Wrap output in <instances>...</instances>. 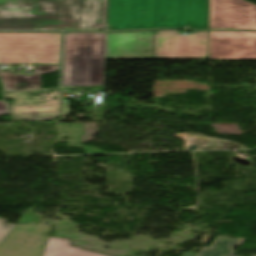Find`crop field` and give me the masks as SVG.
<instances>
[{"label":"crop field","instance_id":"ac0d7876","mask_svg":"<svg viewBox=\"0 0 256 256\" xmlns=\"http://www.w3.org/2000/svg\"><path fill=\"white\" fill-rule=\"evenodd\" d=\"M61 85H104V33H66Z\"/></svg>","mask_w":256,"mask_h":256},{"label":"crop field","instance_id":"e52e79f7","mask_svg":"<svg viewBox=\"0 0 256 256\" xmlns=\"http://www.w3.org/2000/svg\"><path fill=\"white\" fill-rule=\"evenodd\" d=\"M107 28H153L152 0H107Z\"/></svg>","mask_w":256,"mask_h":256},{"label":"crop field","instance_id":"f4fd0767","mask_svg":"<svg viewBox=\"0 0 256 256\" xmlns=\"http://www.w3.org/2000/svg\"><path fill=\"white\" fill-rule=\"evenodd\" d=\"M155 59H209L208 32L155 31Z\"/></svg>","mask_w":256,"mask_h":256},{"label":"crop field","instance_id":"d8731c3e","mask_svg":"<svg viewBox=\"0 0 256 256\" xmlns=\"http://www.w3.org/2000/svg\"><path fill=\"white\" fill-rule=\"evenodd\" d=\"M51 225L16 224L0 244V256H42Z\"/></svg>","mask_w":256,"mask_h":256},{"label":"crop field","instance_id":"5a996713","mask_svg":"<svg viewBox=\"0 0 256 256\" xmlns=\"http://www.w3.org/2000/svg\"><path fill=\"white\" fill-rule=\"evenodd\" d=\"M106 59H154V31L105 33Z\"/></svg>","mask_w":256,"mask_h":256},{"label":"crop field","instance_id":"d1516ede","mask_svg":"<svg viewBox=\"0 0 256 256\" xmlns=\"http://www.w3.org/2000/svg\"><path fill=\"white\" fill-rule=\"evenodd\" d=\"M32 76L19 75L17 71L1 74L2 81L7 91L42 88L40 75L51 73L59 69V66L34 65Z\"/></svg>","mask_w":256,"mask_h":256},{"label":"crop field","instance_id":"d9b57169","mask_svg":"<svg viewBox=\"0 0 256 256\" xmlns=\"http://www.w3.org/2000/svg\"><path fill=\"white\" fill-rule=\"evenodd\" d=\"M9 114V111L6 107V105H4V100L0 101V115H6Z\"/></svg>","mask_w":256,"mask_h":256},{"label":"crop field","instance_id":"5142ce71","mask_svg":"<svg viewBox=\"0 0 256 256\" xmlns=\"http://www.w3.org/2000/svg\"><path fill=\"white\" fill-rule=\"evenodd\" d=\"M6 222L7 220L0 219V243L14 227V225H8Z\"/></svg>","mask_w":256,"mask_h":256},{"label":"crop field","instance_id":"8a807250","mask_svg":"<svg viewBox=\"0 0 256 256\" xmlns=\"http://www.w3.org/2000/svg\"><path fill=\"white\" fill-rule=\"evenodd\" d=\"M106 0H0V30H100Z\"/></svg>","mask_w":256,"mask_h":256},{"label":"crop field","instance_id":"412701ff","mask_svg":"<svg viewBox=\"0 0 256 256\" xmlns=\"http://www.w3.org/2000/svg\"><path fill=\"white\" fill-rule=\"evenodd\" d=\"M153 7L154 28L209 29L208 0H153Z\"/></svg>","mask_w":256,"mask_h":256},{"label":"crop field","instance_id":"4a817a6b","mask_svg":"<svg viewBox=\"0 0 256 256\" xmlns=\"http://www.w3.org/2000/svg\"><path fill=\"white\" fill-rule=\"evenodd\" d=\"M197 254L195 253H189V252H185L183 256H196Z\"/></svg>","mask_w":256,"mask_h":256},{"label":"crop field","instance_id":"22f410ed","mask_svg":"<svg viewBox=\"0 0 256 256\" xmlns=\"http://www.w3.org/2000/svg\"><path fill=\"white\" fill-rule=\"evenodd\" d=\"M43 256H106L70 246L69 239L49 237Z\"/></svg>","mask_w":256,"mask_h":256},{"label":"crop field","instance_id":"bc2a9ffb","mask_svg":"<svg viewBox=\"0 0 256 256\" xmlns=\"http://www.w3.org/2000/svg\"><path fill=\"white\" fill-rule=\"evenodd\" d=\"M252 256H256V255H252Z\"/></svg>","mask_w":256,"mask_h":256},{"label":"crop field","instance_id":"733c2abd","mask_svg":"<svg viewBox=\"0 0 256 256\" xmlns=\"http://www.w3.org/2000/svg\"><path fill=\"white\" fill-rule=\"evenodd\" d=\"M68 113V103H64V114Z\"/></svg>","mask_w":256,"mask_h":256},{"label":"crop field","instance_id":"cbeb9de0","mask_svg":"<svg viewBox=\"0 0 256 256\" xmlns=\"http://www.w3.org/2000/svg\"><path fill=\"white\" fill-rule=\"evenodd\" d=\"M244 239H228L218 237L210 249L204 248L197 256H232L231 246L241 245Z\"/></svg>","mask_w":256,"mask_h":256},{"label":"crop field","instance_id":"34b2d1b8","mask_svg":"<svg viewBox=\"0 0 256 256\" xmlns=\"http://www.w3.org/2000/svg\"><path fill=\"white\" fill-rule=\"evenodd\" d=\"M61 33H0V64H59Z\"/></svg>","mask_w":256,"mask_h":256},{"label":"crop field","instance_id":"3316defc","mask_svg":"<svg viewBox=\"0 0 256 256\" xmlns=\"http://www.w3.org/2000/svg\"><path fill=\"white\" fill-rule=\"evenodd\" d=\"M210 29L256 30V5L242 0H209Z\"/></svg>","mask_w":256,"mask_h":256},{"label":"crop field","instance_id":"28ad6ade","mask_svg":"<svg viewBox=\"0 0 256 256\" xmlns=\"http://www.w3.org/2000/svg\"><path fill=\"white\" fill-rule=\"evenodd\" d=\"M210 59H256V32H209Z\"/></svg>","mask_w":256,"mask_h":256},{"label":"crop field","instance_id":"dd49c442","mask_svg":"<svg viewBox=\"0 0 256 256\" xmlns=\"http://www.w3.org/2000/svg\"><path fill=\"white\" fill-rule=\"evenodd\" d=\"M53 89H36L5 92L7 98H14L15 103L10 106L14 120L27 119L29 121L55 119L61 116V91L59 89L46 96H29L27 91L49 92ZM54 96H57L55 99ZM45 97V99H43ZM47 101L44 103V101Z\"/></svg>","mask_w":256,"mask_h":256}]
</instances>
